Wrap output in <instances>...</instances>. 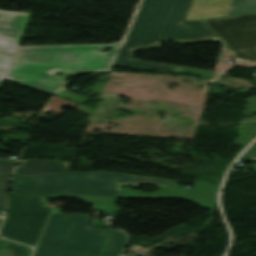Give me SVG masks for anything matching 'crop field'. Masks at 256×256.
<instances>
[{"label": "crop field", "mask_w": 256, "mask_h": 256, "mask_svg": "<svg viewBox=\"0 0 256 256\" xmlns=\"http://www.w3.org/2000/svg\"><path fill=\"white\" fill-rule=\"evenodd\" d=\"M0 256H2L1 253H0Z\"/></svg>", "instance_id": "bc2a9ffb"}, {"label": "crop field", "mask_w": 256, "mask_h": 256, "mask_svg": "<svg viewBox=\"0 0 256 256\" xmlns=\"http://www.w3.org/2000/svg\"><path fill=\"white\" fill-rule=\"evenodd\" d=\"M71 164L57 160H21L14 177L68 172Z\"/></svg>", "instance_id": "5a996713"}, {"label": "crop field", "mask_w": 256, "mask_h": 256, "mask_svg": "<svg viewBox=\"0 0 256 256\" xmlns=\"http://www.w3.org/2000/svg\"><path fill=\"white\" fill-rule=\"evenodd\" d=\"M30 16L15 12L9 29L0 27V36L21 40Z\"/></svg>", "instance_id": "28ad6ade"}, {"label": "crop field", "mask_w": 256, "mask_h": 256, "mask_svg": "<svg viewBox=\"0 0 256 256\" xmlns=\"http://www.w3.org/2000/svg\"><path fill=\"white\" fill-rule=\"evenodd\" d=\"M91 214H52L34 256H120L126 235L88 228Z\"/></svg>", "instance_id": "412701ff"}, {"label": "crop field", "mask_w": 256, "mask_h": 256, "mask_svg": "<svg viewBox=\"0 0 256 256\" xmlns=\"http://www.w3.org/2000/svg\"><path fill=\"white\" fill-rule=\"evenodd\" d=\"M75 198H80L88 203H93L94 201V198ZM42 199L13 192L7 215L50 213L52 208L42 202Z\"/></svg>", "instance_id": "d8731c3e"}, {"label": "crop field", "mask_w": 256, "mask_h": 256, "mask_svg": "<svg viewBox=\"0 0 256 256\" xmlns=\"http://www.w3.org/2000/svg\"><path fill=\"white\" fill-rule=\"evenodd\" d=\"M0 223H1V218H0Z\"/></svg>", "instance_id": "4a817a6b"}, {"label": "crop field", "mask_w": 256, "mask_h": 256, "mask_svg": "<svg viewBox=\"0 0 256 256\" xmlns=\"http://www.w3.org/2000/svg\"><path fill=\"white\" fill-rule=\"evenodd\" d=\"M204 21L236 60L256 62V13Z\"/></svg>", "instance_id": "f4fd0767"}, {"label": "crop field", "mask_w": 256, "mask_h": 256, "mask_svg": "<svg viewBox=\"0 0 256 256\" xmlns=\"http://www.w3.org/2000/svg\"><path fill=\"white\" fill-rule=\"evenodd\" d=\"M14 12L0 11V26L9 27ZM21 41L0 37V89Z\"/></svg>", "instance_id": "3316defc"}, {"label": "crop field", "mask_w": 256, "mask_h": 256, "mask_svg": "<svg viewBox=\"0 0 256 256\" xmlns=\"http://www.w3.org/2000/svg\"><path fill=\"white\" fill-rule=\"evenodd\" d=\"M153 184L159 191L147 194L122 185ZM177 181L104 171L63 173L13 178L11 190L36 196L71 194L126 198L184 199L200 207L213 208L219 185L195 182L194 189Z\"/></svg>", "instance_id": "8a807250"}, {"label": "crop field", "mask_w": 256, "mask_h": 256, "mask_svg": "<svg viewBox=\"0 0 256 256\" xmlns=\"http://www.w3.org/2000/svg\"><path fill=\"white\" fill-rule=\"evenodd\" d=\"M7 256H30L32 250L30 247L5 240L2 247Z\"/></svg>", "instance_id": "22f410ed"}, {"label": "crop field", "mask_w": 256, "mask_h": 256, "mask_svg": "<svg viewBox=\"0 0 256 256\" xmlns=\"http://www.w3.org/2000/svg\"><path fill=\"white\" fill-rule=\"evenodd\" d=\"M57 97H61V98L71 100V101H74V102H78V103L91 100V99H88L86 97L74 94V93L66 91V90H63L60 94L57 95Z\"/></svg>", "instance_id": "5142ce71"}, {"label": "crop field", "mask_w": 256, "mask_h": 256, "mask_svg": "<svg viewBox=\"0 0 256 256\" xmlns=\"http://www.w3.org/2000/svg\"><path fill=\"white\" fill-rule=\"evenodd\" d=\"M48 215L7 216L1 235L35 247Z\"/></svg>", "instance_id": "e52e79f7"}, {"label": "crop field", "mask_w": 256, "mask_h": 256, "mask_svg": "<svg viewBox=\"0 0 256 256\" xmlns=\"http://www.w3.org/2000/svg\"><path fill=\"white\" fill-rule=\"evenodd\" d=\"M255 12L256 0H194L185 21Z\"/></svg>", "instance_id": "dd49c442"}, {"label": "crop field", "mask_w": 256, "mask_h": 256, "mask_svg": "<svg viewBox=\"0 0 256 256\" xmlns=\"http://www.w3.org/2000/svg\"><path fill=\"white\" fill-rule=\"evenodd\" d=\"M251 148H254L256 150V147L255 146H251Z\"/></svg>", "instance_id": "733c2abd"}, {"label": "crop field", "mask_w": 256, "mask_h": 256, "mask_svg": "<svg viewBox=\"0 0 256 256\" xmlns=\"http://www.w3.org/2000/svg\"><path fill=\"white\" fill-rule=\"evenodd\" d=\"M116 202L117 199L97 198L94 210L120 211Z\"/></svg>", "instance_id": "cbeb9de0"}, {"label": "crop field", "mask_w": 256, "mask_h": 256, "mask_svg": "<svg viewBox=\"0 0 256 256\" xmlns=\"http://www.w3.org/2000/svg\"><path fill=\"white\" fill-rule=\"evenodd\" d=\"M122 44L19 47L6 79L55 95L68 73H111ZM55 70L64 76H54Z\"/></svg>", "instance_id": "34b2d1b8"}, {"label": "crop field", "mask_w": 256, "mask_h": 256, "mask_svg": "<svg viewBox=\"0 0 256 256\" xmlns=\"http://www.w3.org/2000/svg\"><path fill=\"white\" fill-rule=\"evenodd\" d=\"M63 209L60 208H56L55 211L53 213H62Z\"/></svg>", "instance_id": "d9b57169"}, {"label": "crop field", "mask_w": 256, "mask_h": 256, "mask_svg": "<svg viewBox=\"0 0 256 256\" xmlns=\"http://www.w3.org/2000/svg\"><path fill=\"white\" fill-rule=\"evenodd\" d=\"M17 161L0 158V213L5 208L10 175Z\"/></svg>", "instance_id": "d1516ede"}, {"label": "crop field", "mask_w": 256, "mask_h": 256, "mask_svg": "<svg viewBox=\"0 0 256 256\" xmlns=\"http://www.w3.org/2000/svg\"><path fill=\"white\" fill-rule=\"evenodd\" d=\"M193 0H143L115 65L213 77L214 72L130 60L132 50L156 48L157 42L180 44L220 40L203 20L183 22Z\"/></svg>", "instance_id": "ac0d7876"}]
</instances>
